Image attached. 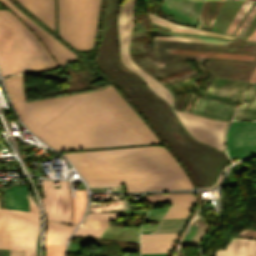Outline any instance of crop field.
Masks as SVG:
<instances>
[{"instance_id":"crop-field-1","label":"crop field","mask_w":256,"mask_h":256,"mask_svg":"<svg viewBox=\"0 0 256 256\" xmlns=\"http://www.w3.org/2000/svg\"><path fill=\"white\" fill-rule=\"evenodd\" d=\"M4 81L23 123L55 149L159 142L111 86L25 103L22 75Z\"/></svg>"},{"instance_id":"crop-field-2","label":"crop field","mask_w":256,"mask_h":256,"mask_svg":"<svg viewBox=\"0 0 256 256\" xmlns=\"http://www.w3.org/2000/svg\"><path fill=\"white\" fill-rule=\"evenodd\" d=\"M64 155L87 182L123 180L128 192L192 188L168 151L158 146Z\"/></svg>"},{"instance_id":"crop-field-3","label":"crop field","mask_w":256,"mask_h":256,"mask_svg":"<svg viewBox=\"0 0 256 256\" xmlns=\"http://www.w3.org/2000/svg\"><path fill=\"white\" fill-rule=\"evenodd\" d=\"M36 32L58 62H54L33 34L11 13L0 10V69L2 75L44 70L59 66L76 55L28 19L8 0H0Z\"/></svg>"},{"instance_id":"crop-field-4","label":"crop field","mask_w":256,"mask_h":256,"mask_svg":"<svg viewBox=\"0 0 256 256\" xmlns=\"http://www.w3.org/2000/svg\"><path fill=\"white\" fill-rule=\"evenodd\" d=\"M100 0H58L59 33L77 49L92 47Z\"/></svg>"},{"instance_id":"crop-field-5","label":"crop field","mask_w":256,"mask_h":256,"mask_svg":"<svg viewBox=\"0 0 256 256\" xmlns=\"http://www.w3.org/2000/svg\"><path fill=\"white\" fill-rule=\"evenodd\" d=\"M136 0H127L121 9V12L118 17V29H119V41H120V56L122 62L129 69L137 72L141 78L145 80L148 87L159 95L161 98L166 100L170 106H173V98L172 95L168 92V90L160 84L158 81L154 80L142 70H140L134 62L131 60L128 54L129 40L132 29V19H133V9Z\"/></svg>"},{"instance_id":"crop-field-6","label":"crop field","mask_w":256,"mask_h":256,"mask_svg":"<svg viewBox=\"0 0 256 256\" xmlns=\"http://www.w3.org/2000/svg\"><path fill=\"white\" fill-rule=\"evenodd\" d=\"M175 113L192 136L224 151V131L228 122L206 119L189 113Z\"/></svg>"},{"instance_id":"crop-field-7","label":"crop field","mask_w":256,"mask_h":256,"mask_svg":"<svg viewBox=\"0 0 256 256\" xmlns=\"http://www.w3.org/2000/svg\"><path fill=\"white\" fill-rule=\"evenodd\" d=\"M229 158L256 154V122L232 121L227 132Z\"/></svg>"},{"instance_id":"crop-field-8","label":"crop field","mask_w":256,"mask_h":256,"mask_svg":"<svg viewBox=\"0 0 256 256\" xmlns=\"http://www.w3.org/2000/svg\"><path fill=\"white\" fill-rule=\"evenodd\" d=\"M146 197L151 204L171 203L164 218L188 217L195 204V196L190 193L148 195Z\"/></svg>"},{"instance_id":"crop-field-9","label":"crop field","mask_w":256,"mask_h":256,"mask_svg":"<svg viewBox=\"0 0 256 256\" xmlns=\"http://www.w3.org/2000/svg\"><path fill=\"white\" fill-rule=\"evenodd\" d=\"M45 198H42L48 220L77 225L75 222L60 220L62 196L60 189L54 188L52 180H41Z\"/></svg>"},{"instance_id":"crop-field-10","label":"crop field","mask_w":256,"mask_h":256,"mask_svg":"<svg viewBox=\"0 0 256 256\" xmlns=\"http://www.w3.org/2000/svg\"><path fill=\"white\" fill-rule=\"evenodd\" d=\"M239 236L256 237V231L245 230ZM216 256H256V240L234 238L225 251H216Z\"/></svg>"},{"instance_id":"crop-field-11","label":"crop field","mask_w":256,"mask_h":256,"mask_svg":"<svg viewBox=\"0 0 256 256\" xmlns=\"http://www.w3.org/2000/svg\"><path fill=\"white\" fill-rule=\"evenodd\" d=\"M31 13L42 20L53 30L55 29L53 0H18Z\"/></svg>"},{"instance_id":"crop-field-12","label":"crop field","mask_w":256,"mask_h":256,"mask_svg":"<svg viewBox=\"0 0 256 256\" xmlns=\"http://www.w3.org/2000/svg\"><path fill=\"white\" fill-rule=\"evenodd\" d=\"M225 78L220 77L217 84L213 88L212 92L209 95V98L214 99L215 95L217 94L219 88L221 87L222 83L224 82ZM235 80L226 78L225 82L223 83L221 89L219 90L218 94L216 95L215 99L224 100L225 96L229 92L230 88L234 84ZM247 82L236 80L235 84L231 88L230 92L225 98L227 102H233V100L238 96V94L244 89Z\"/></svg>"},{"instance_id":"crop-field-13","label":"crop field","mask_w":256,"mask_h":256,"mask_svg":"<svg viewBox=\"0 0 256 256\" xmlns=\"http://www.w3.org/2000/svg\"><path fill=\"white\" fill-rule=\"evenodd\" d=\"M6 208L29 212V198L27 186H10V190L3 189Z\"/></svg>"},{"instance_id":"crop-field-14","label":"crop field","mask_w":256,"mask_h":256,"mask_svg":"<svg viewBox=\"0 0 256 256\" xmlns=\"http://www.w3.org/2000/svg\"><path fill=\"white\" fill-rule=\"evenodd\" d=\"M74 226L47 221L45 242L65 244Z\"/></svg>"},{"instance_id":"crop-field-15","label":"crop field","mask_w":256,"mask_h":256,"mask_svg":"<svg viewBox=\"0 0 256 256\" xmlns=\"http://www.w3.org/2000/svg\"><path fill=\"white\" fill-rule=\"evenodd\" d=\"M174 241L141 242V253L168 252ZM168 253L141 254V256H167Z\"/></svg>"},{"instance_id":"crop-field-16","label":"crop field","mask_w":256,"mask_h":256,"mask_svg":"<svg viewBox=\"0 0 256 256\" xmlns=\"http://www.w3.org/2000/svg\"><path fill=\"white\" fill-rule=\"evenodd\" d=\"M165 50H166L167 53H172V54L208 55V56H218V57H229V58H239V59L254 60V56H248V55H235V54L197 52V51H185V50H171V49H165Z\"/></svg>"},{"instance_id":"crop-field-17","label":"crop field","mask_w":256,"mask_h":256,"mask_svg":"<svg viewBox=\"0 0 256 256\" xmlns=\"http://www.w3.org/2000/svg\"><path fill=\"white\" fill-rule=\"evenodd\" d=\"M76 198H73L74 203V220L76 222L80 221V218L84 212L86 193L85 190L74 191Z\"/></svg>"},{"instance_id":"crop-field-18","label":"crop field","mask_w":256,"mask_h":256,"mask_svg":"<svg viewBox=\"0 0 256 256\" xmlns=\"http://www.w3.org/2000/svg\"><path fill=\"white\" fill-rule=\"evenodd\" d=\"M149 16H150V18H151V20L153 22L158 23L160 25H163L165 27H168V28L172 29V31L190 32V33H201V34L221 36V37H227V38H233L234 37V36H230V35L217 34V33H212V32H208V31H206V32H198V31H192V30H187V29H181V28L174 27L173 25H175V24L170 23V22H168L166 20H163V19H161L159 17L153 16V15H150V14H149ZM175 26H177V25H175ZM188 28H190V27H188Z\"/></svg>"},{"instance_id":"crop-field-19","label":"crop field","mask_w":256,"mask_h":256,"mask_svg":"<svg viewBox=\"0 0 256 256\" xmlns=\"http://www.w3.org/2000/svg\"><path fill=\"white\" fill-rule=\"evenodd\" d=\"M184 220L161 221L156 233L179 232Z\"/></svg>"},{"instance_id":"crop-field-20","label":"crop field","mask_w":256,"mask_h":256,"mask_svg":"<svg viewBox=\"0 0 256 256\" xmlns=\"http://www.w3.org/2000/svg\"><path fill=\"white\" fill-rule=\"evenodd\" d=\"M59 185L63 195V211L61 219L68 220L69 218V205H70V197L67 189L66 181H59Z\"/></svg>"},{"instance_id":"crop-field-21","label":"crop field","mask_w":256,"mask_h":256,"mask_svg":"<svg viewBox=\"0 0 256 256\" xmlns=\"http://www.w3.org/2000/svg\"><path fill=\"white\" fill-rule=\"evenodd\" d=\"M196 80H198L197 76L194 77V78L186 79L184 81L168 85L167 87L169 89L170 88H174V87H179V86H182V85H186V84H190V83H195L194 81H196ZM194 86H196V85L195 84H190V85L182 86V87L171 89V90L173 92V91H176V90H181V89H185V88H189V87H194ZM196 89H198V87H194V88H189V89L173 92V94H178V93L187 92V91L196 90Z\"/></svg>"},{"instance_id":"crop-field-22","label":"crop field","mask_w":256,"mask_h":256,"mask_svg":"<svg viewBox=\"0 0 256 256\" xmlns=\"http://www.w3.org/2000/svg\"><path fill=\"white\" fill-rule=\"evenodd\" d=\"M65 245L45 243V256H62Z\"/></svg>"},{"instance_id":"crop-field-23","label":"crop field","mask_w":256,"mask_h":256,"mask_svg":"<svg viewBox=\"0 0 256 256\" xmlns=\"http://www.w3.org/2000/svg\"><path fill=\"white\" fill-rule=\"evenodd\" d=\"M230 107L231 106L228 104L218 102L213 117L227 119L230 112Z\"/></svg>"},{"instance_id":"crop-field-24","label":"crop field","mask_w":256,"mask_h":256,"mask_svg":"<svg viewBox=\"0 0 256 256\" xmlns=\"http://www.w3.org/2000/svg\"><path fill=\"white\" fill-rule=\"evenodd\" d=\"M102 231L89 228L80 227V229L74 234L75 237L84 238L86 236L99 238Z\"/></svg>"},{"instance_id":"crop-field-25","label":"crop field","mask_w":256,"mask_h":256,"mask_svg":"<svg viewBox=\"0 0 256 256\" xmlns=\"http://www.w3.org/2000/svg\"><path fill=\"white\" fill-rule=\"evenodd\" d=\"M108 223L109 221L85 219L82 226L103 230L108 226Z\"/></svg>"},{"instance_id":"crop-field-26","label":"crop field","mask_w":256,"mask_h":256,"mask_svg":"<svg viewBox=\"0 0 256 256\" xmlns=\"http://www.w3.org/2000/svg\"><path fill=\"white\" fill-rule=\"evenodd\" d=\"M121 215L122 213H89L87 218L111 220Z\"/></svg>"},{"instance_id":"crop-field-27","label":"crop field","mask_w":256,"mask_h":256,"mask_svg":"<svg viewBox=\"0 0 256 256\" xmlns=\"http://www.w3.org/2000/svg\"><path fill=\"white\" fill-rule=\"evenodd\" d=\"M154 39L187 40V41H196V42L219 43V44H223V45L226 43V42L212 41V40H206V39H197V38L155 37Z\"/></svg>"},{"instance_id":"crop-field-28","label":"crop field","mask_w":256,"mask_h":256,"mask_svg":"<svg viewBox=\"0 0 256 256\" xmlns=\"http://www.w3.org/2000/svg\"><path fill=\"white\" fill-rule=\"evenodd\" d=\"M200 99H201V98H198V97L196 98L195 104H194V106H193L192 109H191L192 112H195V110H196V108H197V106H198V103H199ZM208 101H209V100H207V99H201V101H200V103H199V106H198V108H197V110H196V113L202 114L203 111H204V109H205V107H206V105H207V103H208Z\"/></svg>"},{"instance_id":"crop-field-29","label":"crop field","mask_w":256,"mask_h":256,"mask_svg":"<svg viewBox=\"0 0 256 256\" xmlns=\"http://www.w3.org/2000/svg\"><path fill=\"white\" fill-rule=\"evenodd\" d=\"M90 187L98 186H122V181L88 183Z\"/></svg>"},{"instance_id":"crop-field-30","label":"crop field","mask_w":256,"mask_h":256,"mask_svg":"<svg viewBox=\"0 0 256 256\" xmlns=\"http://www.w3.org/2000/svg\"><path fill=\"white\" fill-rule=\"evenodd\" d=\"M216 103L217 102L210 100L203 114L212 117Z\"/></svg>"},{"instance_id":"crop-field-31","label":"crop field","mask_w":256,"mask_h":256,"mask_svg":"<svg viewBox=\"0 0 256 256\" xmlns=\"http://www.w3.org/2000/svg\"><path fill=\"white\" fill-rule=\"evenodd\" d=\"M177 236L141 238V241L175 240Z\"/></svg>"},{"instance_id":"crop-field-32","label":"crop field","mask_w":256,"mask_h":256,"mask_svg":"<svg viewBox=\"0 0 256 256\" xmlns=\"http://www.w3.org/2000/svg\"><path fill=\"white\" fill-rule=\"evenodd\" d=\"M255 106H256V96H255V98L253 99V101L251 102V104L249 105V107H248V109H247V111H246V113H245L243 119L249 120L250 115H251V113H252V111H253V109H254Z\"/></svg>"},{"instance_id":"crop-field-33","label":"crop field","mask_w":256,"mask_h":256,"mask_svg":"<svg viewBox=\"0 0 256 256\" xmlns=\"http://www.w3.org/2000/svg\"><path fill=\"white\" fill-rule=\"evenodd\" d=\"M251 82L248 83L247 87L244 89L243 93L241 94V96L234 102L235 105H237L241 100L242 98L244 97L245 93L248 91V89L250 88L251 86Z\"/></svg>"},{"instance_id":"crop-field-34","label":"crop field","mask_w":256,"mask_h":256,"mask_svg":"<svg viewBox=\"0 0 256 256\" xmlns=\"http://www.w3.org/2000/svg\"><path fill=\"white\" fill-rule=\"evenodd\" d=\"M219 77H214L211 85L209 86V88L207 89V91L205 92L204 96L208 97L209 93L211 92L212 88L214 87V85L216 84L217 80Z\"/></svg>"},{"instance_id":"crop-field-35","label":"crop field","mask_w":256,"mask_h":256,"mask_svg":"<svg viewBox=\"0 0 256 256\" xmlns=\"http://www.w3.org/2000/svg\"><path fill=\"white\" fill-rule=\"evenodd\" d=\"M245 106H246L245 103H242V104L240 105V107L237 109V111H236V113H235L233 119H238V118H239V116H240V114H241V112L243 111V109H244Z\"/></svg>"},{"instance_id":"crop-field-36","label":"crop field","mask_w":256,"mask_h":256,"mask_svg":"<svg viewBox=\"0 0 256 256\" xmlns=\"http://www.w3.org/2000/svg\"><path fill=\"white\" fill-rule=\"evenodd\" d=\"M9 256H24V251L10 249V255Z\"/></svg>"},{"instance_id":"crop-field-37","label":"crop field","mask_w":256,"mask_h":256,"mask_svg":"<svg viewBox=\"0 0 256 256\" xmlns=\"http://www.w3.org/2000/svg\"><path fill=\"white\" fill-rule=\"evenodd\" d=\"M254 83V82H253ZM256 92V83H254L250 93L248 94V96L245 98V100L250 101V99L252 98V96L254 95V93Z\"/></svg>"},{"instance_id":"crop-field-38","label":"crop field","mask_w":256,"mask_h":256,"mask_svg":"<svg viewBox=\"0 0 256 256\" xmlns=\"http://www.w3.org/2000/svg\"><path fill=\"white\" fill-rule=\"evenodd\" d=\"M148 209H140V210H126V213H139L145 215ZM124 213V214H126Z\"/></svg>"},{"instance_id":"crop-field-39","label":"crop field","mask_w":256,"mask_h":256,"mask_svg":"<svg viewBox=\"0 0 256 256\" xmlns=\"http://www.w3.org/2000/svg\"><path fill=\"white\" fill-rule=\"evenodd\" d=\"M166 209H150L148 214L165 213Z\"/></svg>"},{"instance_id":"crop-field-40","label":"crop field","mask_w":256,"mask_h":256,"mask_svg":"<svg viewBox=\"0 0 256 256\" xmlns=\"http://www.w3.org/2000/svg\"><path fill=\"white\" fill-rule=\"evenodd\" d=\"M168 235H178V233H170V234H150V235H141V237H150V236H168Z\"/></svg>"},{"instance_id":"crop-field-41","label":"crop field","mask_w":256,"mask_h":256,"mask_svg":"<svg viewBox=\"0 0 256 256\" xmlns=\"http://www.w3.org/2000/svg\"><path fill=\"white\" fill-rule=\"evenodd\" d=\"M193 98H194V95L192 94L184 111L189 110L191 104L193 103Z\"/></svg>"},{"instance_id":"crop-field-42","label":"crop field","mask_w":256,"mask_h":256,"mask_svg":"<svg viewBox=\"0 0 256 256\" xmlns=\"http://www.w3.org/2000/svg\"><path fill=\"white\" fill-rule=\"evenodd\" d=\"M255 8H256V4H255L254 7L252 8V10L250 11V13H249L248 16L246 17V19L244 20V22H245V21L247 20V18L252 14V12L255 10ZM248 19H249V18H248ZM244 22L241 24V26H240V28H239L237 34L239 33L240 29L242 28ZM245 23H246V22H245ZM237 34H236V36H237Z\"/></svg>"},{"instance_id":"crop-field-43","label":"crop field","mask_w":256,"mask_h":256,"mask_svg":"<svg viewBox=\"0 0 256 256\" xmlns=\"http://www.w3.org/2000/svg\"><path fill=\"white\" fill-rule=\"evenodd\" d=\"M234 110H235V107L232 106L231 112H230V115H229L228 119H232Z\"/></svg>"},{"instance_id":"crop-field-44","label":"crop field","mask_w":256,"mask_h":256,"mask_svg":"<svg viewBox=\"0 0 256 256\" xmlns=\"http://www.w3.org/2000/svg\"><path fill=\"white\" fill-rule=\"evenodd\" d=\"M255 116H256V108H255V110H254V112H253V114H252V116H251L250 119L254 120V119H255Z\"/></svg>"},{"instance_id":"crop-field-45","label":"crop field","mask_w":256,"mask_h":256,"mask_svg":"<svg viewBox=\"0 0 256 256\" xmlns=\"http://www.w3.org/2000/svg\"><path fill=\"white\" fill-rule=\"evenodd\" d=\"M255 95H256V93H255ZM255 95H254V96H255ZM254 96H253V98H254ZM253 98H252V99H253ZM252 99H251V101H252ZM251 101H250V102H251ZM250 102L248 103V105L250 104ZM248 105L246 106L245 110L243 111V113H242V115H241L240 119L242 118V116H243L244 112L246 111V109H247Z\"/></svg>"},{"instance_id":"crop-field-46","label":"crop field","mask_w":256,"mask_h":256,"mask_svg":"<svg viewBox=\"0 0 256 256\" xmlns=\"http://www.w3.org/2000/svg\"><path fill=\"white\" fill-rule=\"evenodd\" d=\"M255 34H256V29H255V31L250 35L249 39H252Z\"/></svg>"},{"instance_id":"crop-field-47","label":"crop field","mask_w":256,"mask_h":256,"mask_svg":"<svg viewBox=\"0 0 256 256\" xmlns=\"http://www.w3.org/2000/svg\"><path fill=\"white\" fill-rule=\"evenodd\" d=\"M251 80L256 82V72L254 73V75H253Z\"/></svg>"},{"instance_id":"crop-field-48","label":"crop field","mask_w":256,"mask_h":256,"mask_svg":"<svg viewBox=\"0 0 256 256\" xmlns=\"http://www.w3.org/2000/svg\"><path fill=\"white\" fill-rule=\"evenodd\" d=\"M192 71V70H191ZM189 72V71H188ZM180 75V74H179ZM176 76V75H175ZM173 77V76H172ZM170 78V77H169ZM166 79H168V78H166ZM163 80H165V79H163ZM163 80H161V81H163Z\"/></svg>"},{"instance_id":"crop-field-49","label":"crop field","mask_w":256,"mask_h":256,"mask_svg":"<svg viewBox=\"0 0 256 256\" xmlns=\"http://www.w3.org/2000/svg\"><path fill=\"white\" fill-rule=\"evenodd\" d=\"M253 39H256V35H255V37Z\"/></svg>"},{"instance_id":"crop-field-50","label":"crop field","mask_w":256,"mask_h":256,"mask_svg":"<svg viewBox=\"0 0 256 256\" xmlns=\"http://www.w3.org/2000/svg\"><path fill=\"white\" fill-rule=\"evenodd\" d=\"M256 120V119H255Z\"/></svg>"}]
</instances>
